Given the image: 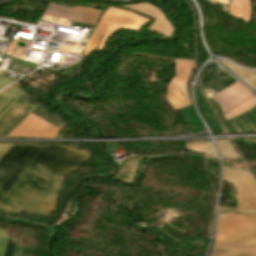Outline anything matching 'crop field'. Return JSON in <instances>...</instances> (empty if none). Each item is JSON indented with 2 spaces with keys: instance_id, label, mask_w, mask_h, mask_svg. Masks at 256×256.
I'll use <instances>...</instances> for the list:
<instances>
[{
  "instance_id": "obj_1",
  "label": "crop field",
  "mask_w": 256,
  "mask_h": 256,
  "mask_svg": "<svg viewBox=\"0 0 256 256\" xmlns=\"http://www.w3.org/2000/svg\"><path fill=\"white\" fill-rule=\"evenodd\" d=\"M90 155L81 151L52 144L12 145L0 159V197L30 165L60 174H70L83 165Z\"/></svg>"
},
{
  "instance_id": "obj_2",
  "label": "crop field",
  "mask_w": 256,
  "mask_h": 256,
  "mask_svg": "<svg viewBox=\"0 0 256 256\" xmlns=\"http://www.w3.org/2000/svg\"><path fill=\"white\" fill-rule=\"evenodd\" d=\"M65 177L27 167L0 199V206L50 215L64 189Z\"/></svg>"
},
{
  "instance_id": "obj_3",
  "label": "crop field",
  "mask_w": 256,
  "mask_h": 256,
  "mask_svg": "<svg viewBox=\"0 0 256 256\" xmlns=\"http://www.w3.org/2000/svg\"><path fill=\"white\" fill-rule=\"evenodd\" d=\"M220 214L256 215V212L218 209L211 255L216 242ZM221 215L218 234L256 236V216ZM218 235L213 256H256V237Z\"/></svg>"
},
{
  "instance_id": "obj_4",
  "label": "crop field",
  "mask_w": 256,
  "mask_h": 256,
  "mask_svg": "<svg viewBox=\"0 0 256 256\" xmlns=\"http://www.w3.org/2000/svg\"><path fill=\"white\" fill-rule=\"evenodd\" d=\"M211 99L219 103L225 120H229L256 105V97L239 82Z\"/></svg>"
},
{
  "instance_id": "obj_5",
  "label": "crop field",
  "mask_w": 256,
  "mask_h": 256,
  "mask_svg": "<svg viewBox=\"0 0 256 256\" xmlns=\"http://www.w3.org/2000/svg\"><path fill=\"white\" fill-rule=\"evenodd\" d=\"M224 179L235 185L237 208L256 210V181L248 170L224 167Z\"/></svg>"
},
{
  "instance_id": "obj_6",
  "label": "crop field",
  "mask_w": 256,
  "mask_h": 256,
  "mask_svg": "<svg viewBox=\"0 0 256 256\" xmlns=\"http://www.w3.org/2000/svg\"><path fill=\"white\" fill-rule=\"evenodd\" d=\"M175 69L177 77L171 80L166 99L177 110L190 104L186 83L192 71V61L175 60ZM180 90L184 98H182Z\"/></svg>"
},
{
  "instance_id": "obj_7",
  "label": "crop field",
  "mask_w": 256,
  "mask_h": 256,
  "mask_svg": "<svg viewBox=\"0 0 256 256\" xmlns=\"http://www.w3.org/2000/svg\"><path fill=\"white\" fill-rule=\"evenodd\" d=\"M235 80L213 62L206 66L200 76L202 89L208 98L236 83Z\"/></svg>"
},
{
  "instance_id": "obj_8",
  "label": "crop field",
  "mask_w": 256,
  "mask_h": 256,
  "mask_svg": "<svg viewBox=\"0 0 256 256\" xmlns=\"http://www.w3.org/2000/svg\"><path fill=\"white\" fill-rule=\"evenodd\" d=\"M59 130L60 128L30 114L8 136L56 137Z\"/></svg>"
},
{
  "instance_id": "obj_9",
  "label": "crop field",
  "mask_w": 256,
  "mask_h": 256,
  "mask_svg": "<svg viewBox=\"0 0 256 256\" xmlns=\"http://www.w3.org/2000/svg\"><path fill=\"white\" fill-rule=\"evenodd\" d=\"M35 107L28 101L24 104L18 100L0 118V136H7Z\"/></svg>"
},
{
  "instance_id": "obj_10",
  "label": "crop field",
  "mask_w": 256,
  "mask_h": 256,
  "mask_svg": "<svg viewBox=\"0 0 256 256\" xmlns=\"http://www.w3.org/2000/svg\"><path fill=\"white\" fill-rule=\"evenodd\" d=\"M230 14L246 23H249L250 1L249 0H231Z\"/></svg>"
},
{
  "instance_id": "obj_11",
  "label": "crop field",
  "mask_w": 256,
  "mask_h": 256,
  "mask_svg": "<svg viewBox=\"0 0 256 256\" xmlns=\"http://www.w3.org/2000/svg\"><path fill=\"white\" fill-rule=\"evenodd\" d=\"M225 66H227L234 74H236L238 77H240L242 80L247 82L249 85H251L255 90H256V72L255 71H250V70H245V69H240L237 68L230 63L226 61H221ZM249 77L252 81L247 80L244 76Z\"/></svg>"
},
{
  "instance_id": "obj_12",
  "label": "crop field",
  "mask_w": 256,
  "mask_h": 256,
  "mask_svg": "<svg viewBox=\"0 0 256 256\" xmlns=\"http://www.w3.org/2000/svg\"><path fill=\"white\" fill-rule=\"evenodd\" d=\"M186 148L194 152L205 153L206 156L217 157L213 143H189Z\"/></svg>"
},
{
  "instance_id": "obj_13",
  "label": "crop field",
  "mask_w": 256,
  "mask_h": 256,
  "mask_svg": "<svg viewBox=\"0 0 256 256\" xmlns=\"http://www.w3.org/2000/svg\"><path fill=\"white\" fill-rule=\"evenodd\" d=\"M218 145L220 147L222 156L225 158H230V159H237L238 156L235 152V150L233 149V147L231 146V144L229 143V141H217Z\"/></svg>"
},
{
  "instance_id": "obj_14",
  "label": "crop field",
  "mask_w": 256,
  "mask_h": 256,
  "mask_svg": "<svg viewBox=\"0 0 256 256\" xmlns=\"http://www.w3.org/2000/svg\"><path fill=\"white\" fill-rule=\"evenodd\" d=\"M238 132H253L255 131L246 121L240 116L232 120Z\"/></svg>"
},
{
  "instance_id": "obj_15",
  "label": "crop field",
  "mask_w": 256,
  "mask_h": 256,
  "mask_svg": "<svg viewBox=\"0 0 256 256\" xmlns=\"http://www.w3.org/2000/svg\"><path fill=\"white\" fill-rule=\"evenodd\" d=\"M21 89L13 87L1 100L0 110L20 91Z\"/></svg>"
},
{
  "instance_id": "obj_16",
  "label": "crop field",
  "mask_w": 256,
  "mask_h": 256,
  "mask_svg": "<svg viewBox=\"0 0 256 256\" xmlns=\"http://www.w3.org/2000/svg\"><path fill=\"white\" fill-rule=\"evenodd\" d=\"M208 172L214 177L219 178V164L215 161L207 160Z\"/></svg>"
},
{
  "instance_id": "obj_17",
  "label": "crop field",
  "mask_w": 256,
  "mask_h": 256,
  "mask_svg": "<svg viewBox=\"0 0 256 256\" xmlns=\"http://www.w3.org/2000/svg\"><path fill=\"white\" fill-rule=\"evenodd\" d=\"M15 243H16L15 240L8 238L3 256H13L14 249H15Z\"/></svg>"
},
{
  "instance_id": "obj_18",
  "label": "crop field",
  "mask_w": 256,
  "mask_h": 256,
  "mask_svg": "<svg viewBox=\"0 0 256 256\" xmlns=\"http://www.w3.org/2000/svg\"><path fill=\"white\" fill-rule=\"evenodd\" d=\"M25 92L20 91L1 111L0 116L4 114Z\"/></svg>"
},
{
  "instance_id": "obj_19",
  "label": "crop field",
  "mask_w": 256,
  "mask_h": 256,
  "mask_svg": "<svg viewBox=\"0 0 256 256\" xmlns=\"http://www.w3.org/2000/svg\"><path fill=\"white\" fill-rule=\"evenodd\" d=\"M244 117L256 128V107L244 115Z\"/></svg>"
},
{
  "instance_id": "obj_20",
  "label": "crop field",
  "mask_w": 256,
  "mask_h": 256,
  "mask_svg": "<svg viewBox=\"0 0 256 256\" xmlns=\"http://www.w3.org/2000/svg\"><path fill=\"white\" fill-rule=\"evenodd\" d=\"M14 81L8 79V78H3V77H0V90L2 88H4L5 86L9 85L10 83H12Z\"/></svg>"
},
{
  "instance_id": "obj_21",
  "label": "crop field",
  "mask_w": 256,
  "mask_h": 256,
  "mask_svg": "<svg viewBox=\"0 0 256 256\" xmlns=\"http://www.w3.org/2000/svg\"><path fill=\"white\" fill-rule=\"evenodd\" d=\"M7 234H3V237H2V240H1V243H0V256H2L3 254V250H4V247H5V243H6V239H7Z\"/></svg>"
},
{
  "instance_id": "obj_22",
  "label": "crop field",
  "mask_w": 256,
  "mask_h": 256,
  "mask_svg": "<svg viewBox=\"0 0 256 256\" xmlns=\"http://www.w3.org/2000/svg\"><path fill=\"white\" fill-rule=\"evenodd\" d=\"M11 145H0V158L3 156V154L9 149Z\"/></svg>"
},
{
  "instance_id": "obj_23",
  "label": "crop field",
  "mask_w": 256,
  "mask_h": 256,
  "mask_svg": "<svg viewBox=\"0 0 256 256\" xmlns=\"http://www.w3.org/2000/svg\"><path fill=\"white\" fill-rule=\"evenodd\" d=\"M12 88V87H11ZM11 88H9V89H7V90H5V91H3L1 94H0V99L11 89Z\"/></svg>"
},
{
  "instance_id": "obj_24",
  "label": "crop field",
  "mask_w": 256,
  "mask_h": 256,
  "mask_svg": "<svg viewBox=\"0 0 256 256\" xmlns=\"http://www.w3.org/2000/svg\"><path fill=\"white\" fill-rule=\"evenodd\" d=\"M3 231L4 230H0V240H1V237H2V234H3Z\"/></svg>"
},
{
  "instance_id": "obj_25",
  "label": "crop field",
  "mask_w": 256,
  "mask_h": 256,
  "mask_svg": "<svg viewBox=\"0 0 256 256\" xmlns=\"http://www.w3.org/2000/svg\"><path fill=\"white\" fill-rule=\"evenodd\" d=\"M11 86H12V85H11ZM11 86H9V87H11ZM9 87H7V88H9ZM7 88H6V89H7ZM4 90H5V89H4ZM1 92H2V91H1ZM1 92H0V93H1Z\"/></svg>"
}]
</instances>
